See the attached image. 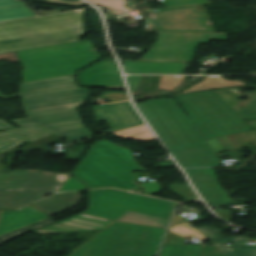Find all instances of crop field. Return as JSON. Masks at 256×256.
<instances>
[{"label":"crop field","instance_id":"obj_50","mask_svg":"<svg viewBox=\"0 0 256 256\" xmlns=\"http://www.w3.org/2000/svg\"><path fill=\"white\" fill-rule=\"evenodd\" d=\"M249 125H251L254 129H256V121L247 122Z\"/></svg>","mask_w":256,"mask_h":256},{"label":"crop field","instance_id":"obj_18","mask_svg":"<svg viewBox=\"0 0 256 256\" xmlns=\"http://www.w3.org/2000/svg\"><path fill=\"white\" fill-rule=\"evenodd\" d=\"M48 218L30 206L22 211H4L0 220V236Z\"/></svg>","mask_w":256,"mask_h":256},{"label":"crop field","instance_id":"obj_8","mask_svg":"<svg viewBox=\"0 0 256 256\" xmlns=\"http://www.w3.org/2000/svg\"><path fill=\"white\" fill-rule=\"evenodd\" d=\"M66 181L57 174L12 171L0 174V208H18L60 190Z\"/></svg>","mask_w":256,"mask_h":256},{"label":"crop field","instance_id":"obj_30","mask_svg":"<svg viewBox=\"0 0 256 256\" xmlns=\"http://www.w3.org/2000/svg\"><path fill=\"white\" fill-rule=\"evenodd\" d=\"M189 224L190 223L186 222V223L176 225L171 229V231L178 233L180 235H183L187 238H189L190 236H193V237L208 240L196 227L191 228Z\"/></svg>","mask_w":256,"mask_h":256},{"label":"crop field","instance_id":"obj_20","mask_svg":"<svg viewBox=\"0 0 256 256\" xmlns=\"http://www.w3.org/2000/svg\"><path fill=\"white\" fill-rule=\"evenodd\" d=\"M80 202V195L78 192L61 193L49 199L33 204L43 212L52 216L62 211L68 210L77 206Z\"/></svg>","mask_w":256,"mask_h":256},{"label":"crop field","instance_id":"obj_25","mask_svg":"<svg viewBox=\"0 0 256 256\" xmlns=\"http://www.w3.org/2000/svg\"><path fill=\"white\" fill-rule=\"evenodd\" d=\"M30 10L26 6L0 9V22L36 16Z\"/></svg>","mask_w":256,"mask_h":256},{"label":"crop field","instance_id":"obj_13","mask_svg":"<svg viewBox=\"0 0 256 256\" xmlns=\"http://www.w3.org/2000/svg\"><path fill=\"white\" fill-rule=\"evenodd\" d=\"M82 86H125L116 61L102 60L79 73Z\"/></svg>","mask_w":256,"mask_h":256},{"label":"crop field","instance_id":"obj_9","mask_svg":"<svg viewBox=\"0 0 256 256\" xmlns=\"http://www.w3.org/2000/svg\"><path fill=\"white\" fill-rule=\"evenodd\" d=\"M228 40L225 34L158 33L156 43L141 60L189 61L199 44Z\"/></svg>","mask_w":256,"mask_h":256},{"label":"crop field","instance_id":"obj_44","mask_svg":"<svg viewBox=\"0 0 256 256\" xmlns=\"http://www.w3.org/2000/svg\"><path fill=\"white\" fill-rule=\"evenodd\" d=\"M165 243L186 244V240L169 232Z\"/></svg>","mask_w":256,"mask_h":256},{"label":"crop field","instance_id":"obj_43","mask_svg":"<svg viewBox=\"0 0 256 256\" xmlns=\"http://www.w3.org/2000/svg\"><path fill=\"white\" fill-rule=\"evenodd\" d=\"M36 1L60 3V4L72 5V6H78V5H81V4H85L81 0H36Z\"/></svg>","mask_w":256,"mask_h":256},{"label":"crop field","instance_id":"obj_29","mask_svg":"<svg viewBox=\"0 0 256 256\" xmlns=\"http://www.w3.org/2000/svg\"><path fill=\"white\" fill-rule=\"evenodd\" d=\"M58 139H60V138L58 136L54 135V136L36 141V142H34L30 145H27L19 150L26 153V152H30V151L39 149L41 152L46 154V153L53 152V151L51 149H49L48 147H46L45 145H47L53 141H56Z\"/></svg>","mask_w":256,"mask_h":256},{"label":"crop field","instance_id":"obj_1","mask_svg":"<svg viewBox=\"0 0 256 256\" xmlns=\"http://www.w3.org/2000/svg\"><path fill=\"white\" fill-rule=\"evenodd\" d=\"M154 99L137 104L168 149L206 143L205 139L252 130L214 91Z\"/></svg>","mask_w":256,"mask_h":256},{"label":"crop field","instance_id":"obj_5","mask_svg":"<svg viewBox=\"0 0 256 256\" xmlns=\"http://www.w3.org/2000/svg\"><path fill=\"white\" fill-rule=\"evenodd\" d=\"M164 231L114 223L72 256H155Z\"/></svg>","mask_w":256,"mask_h":256},{"label":"crop field","instance_id":"obj_10","mask_svg":"<svg viewBox=\"0 0 256 256\" xmlns=\"http://www.w3.org/2000/svg\"><path fill=\"white\" fill-rule=\"evenodd\" d=\"M148 14L146 31L213 32L206 24V12L197 11L196 6L155 9Z\"/></svg>","mask_w":256,"mask_h":256},{"label":"crop field","instance_id":"obj_23","mask_svg":"<svg viewBox=\"0 0 256 256\" xmlns=\"http://www.w3.org/2000/svg\"><path fill=\"white\" fill-rule=\"evenodd\" d=\"M119 220L133 222V223H139V224H145V225H151V226H157V227H163V228L167 227V224L169 221L167 219L149 216V215L136 213V212H132V211H129L127 214H125Z\"/></svg>","mask_w":256,"mask_h":256},{"label":"crop field","instance_id":"obj_39","mask_svg":"<svg viewBox=\"0 0 256 256\" xmlns=\"http://www.w3.org/2000/svg\"><path fill=\"white\" fill-rule=\"evenodd\" d=\"M81 189H87L85 185H83L80 181H78L76 178L72 177L65 185L61 188L60 191H69V190H81Z\"/></svg>","mask_w":256,"mask_h":256},{"label":"crop field","instance_id":"obj_26","mask_svg":"<svg viewBox=\"0 0 256 256\" xmlns=\"http://www.w3.org/2000/svg\"><path fill=\"white\" fill-rule=\"evenodd\" d=\"M230 86H232L231 82H228V81L222 79L221 77H208L203 82L192 86L184 93L208 90V89L223 88V87H230Z\"/></svg>","mask_w":256,"mask_h":256},{"label":"crop field","instance_id":"obj_3","mask_svg":"<svg viewBox=\"0 0 256 256\" xmlns=\"http://www.w3.org/2000/svg\"><path fill=\"white\" fill-rule=\"evenodd\" d=\"M134 154L106 140L91 149L73 176L89 186V189L115 187L134 191L140 186L133 181V172L145 170L133 159Z\"/></svg>","mask_w":256,"mask_h":256},{"label":"crop field","instance_id":"obj_28","mask_svg":"<svg viewBox=\"0 0 256 256\" xmlns=\"http://www.w3.org/2000/svg\"><path fill=\"white\" fill-rule=\"evenodd\" d=\"M52 223H55V221L50 217V218L45 219L43 221H40L38 223L32 224L30 226L24 227L22 229H19L17 231L12 232V233L1 236L0 237V243H3L5 241H8V240L13 239L15 237H18V236H20L22 234H25V233L33 230V229H36V228H39V227H42V226H45V225H49V224H52Z\"/></svg>","mask_w":256,"mask_h":256},{"label":"crop field","instance_id":"obj_21","mask_svg":"<svg viewBox=\"0 0 256 256\" xmlns=\"http://www.w3.org/2000/svg\"><path fill=\"white\" fill-rule=\"evenodd\" d=\"M28 117L29 118L13 120V122L21 127H26L81 120L76 109L30 115Z\"/></svg>","mask_w":256,"mask_h":256},{"label":"crop field","instance_id":"obj_2","mask_svg":"<svg viewBox=\"0 0 256 256\" xmlns=\"http://www.w3.org/2000/svg\"><path fill=\"white\" fill-rule=\"evenodd\" d=\"M84 10L0 24V53L71 42L85 34Z\"/></svg>","mask_w":256,"mask_h":256},{"label":"crop field","instance_id":"obj_14","mask_svg":"<svg viewBox=\"0 0 256 256\" xmlns=\"http://www.w3.org/2000/svg\"><path fill=\"white\" fill-rule=\"evenodd\" d=\"M110 222L112 221L79 214L77 216L66 219L59 223L34 230L30 233H34L38 235H46V234H57V233H67V232L101 230L105 226H107Z\"/></svg>","mask_w":256,"mask_h":256},{"label":"crop field","instance_id":"obj_6","mask_svg":"<svg viewBox=\"0 0 256 256\" xmlns=\"http://www.w3.org/2000/svg\"><path fill=\"white\" fill-rule=\"evenodd\" d=\"M89 92L75 84L74 75L20 85L27 115L77 108Z\"/></svg>","mask_w":256,"mask_h":256},{"label":"crop field","instance_id":"obj_38","mask_svg":"<svg viewBox=\"0 0 256 256\" xmlns=\"http://www.w3.org/2000/svg\"><path fill=\"white\" fill-rule=\"evenodd\" d=\"M86 149V146L83 145L70 147L68 148L67 157L65 159L79 160L83 153L86 151Z\"/></svg>","mask_w":256,"mask_h":256},{"label":"crop field","instance_id":"obj_12","mask_svg":"<svg viewBox=\"0 0 256 256\" xmlns=\"http://www.w3.org/2000/svg\"><path fill=\"white\" fill-rule=\"evenodd\" d=\"M92 108L98 124L102 120H106L111 126L112 129L107 130V133L143 124V121L133 109L130 102L100 105Z\"/></svg>","mask_w":256,"mask_h":256},{"label":"crop field","instance_id":"obj_32","mask_svg":"<svg viewBox=\"0 0 256 256\" xmlns=\"http://www.w3.org/2000/svg\"><path fill=\"white\" fill-rule=\"evenodd\" d=\"M172 191L176 192L186 201L197 199L195 192L191 188L190 184L187 185H171L170 188Z\"/></svg>","mask_w":256,"mask_h":256},{"label":"crop field","instance_id":"obj_17","mask_svg":"<svg viewBox=\"0 0 256 256\" xmlns=\"http://www.w3.org/2000/svg\"><path fill=\"white\" fill-rule=\"evenodd\" d=\"M50 134L53 133L42 126L6 130L0 133V152L6 153L8 149L21 145L22 141L31 143Z\"/></svg>","mask_w":256,"mask_h":256},{"label":"crop field","instance_id":"obj_47","mask_svg":"<svg viewBox=\"0 0 256 256\" xmlns=\"http://www.w3.org/2000/svg\"><path fill=\"white\" fill-rule=\"evenodd\" d=\"M24 4H23V2H18V1H13V0H0V8L21 6Z\"/></svg>","mask_w":256,"mask_h":256},{"label":"crop field","instance_id":"obj_46","mask_svg":"<svg viewBox=\"0 0 256 256\" xmlns=\"http://www.w3.org/2000/svg\"><path fill=\"white\" fill-rule=\"evenodd\" d=\"M6 154H0V172H4V173H8L9 170H10V167H11V164L13 162V159H14V156L13 154H10L9 158H8V161H9V165L7 167V169H3L4 166L1 164L4 157H5Z\"/></svg>","mask_w":256,"mask_h":256},{"label":"crop field","instance_id":"obj_36","mask_svg":"<svg viewBox=\"0 0 256 256\" xmlns=\"http://www.w3.org/2000/svg\"><path fill=\"white\" fill-rule=\"evenodd\" d=\"M83 126L84 125L82 124V121H78V122L46 125L44 127H46L47 129H49L50 131H52L54 133H57V132H61V131H66V130H70V129H74V128L83 127Z\"/></svg>","mask_w":256,"mask_h":256},{"label":"crop field","instance_id":"obj_31","mask_svg":"<svg viewBox=\"0 0 256 256\" xmlns=\"http://www.w3.org/2000/svg\"><path fill=\"white\" fill-rule=\"evenodd\" d=\"M61 138H66L69 143L90 138V132L86 129H78L69 132L56 134Z\"/></svg>","mask_w":256,"mask_h":256},{"label":"crop field","instance_id":"obj_49","mask_svg":"<svg viewBox=\"0 0 256 256\" xmlns=\"http://www.w3.org/2000/svg\"><path fill=\"white\" fill-rule=\"evenodd\" d=\"M0 97L4 98V99H8V98H16V97H21L20 94H17V95H13V96H8V97H5L3 94L0 93Z\"/></svg>","mask_w":256,"mask_h":256},{"label":"crop field","instance_id":"obj_27","mask_svg":"<svg viewBox=\"0 0 256 256\" xmlns=\"http://www.w3.org/2000/svg\"><path fill=\"white\" fill-rule=\"evenodd\" d=\"M115 135L119 137L129 136L130 138L137 140H156L146 125L116 132Z\"/></svg>","mask_w":256,"mask_h":256},{"label":"crop field","instance_id":"obj_51","mask_svg":"<svg viewBox=\"0 0 256 256\" xmlns=\"http://www.w3.org/2000/svg\"><path fill=\"white\" fill-rule=\"evenodd\" d=\"M2 212H3V211H0V217H1Z\"/></svg>","mask_w":256,"mask_h":256},{"label":"crop field","instance_id":"obj_37","mask_svg":"<svg viewBox=\"0 0 256 256\" xmlns=\"http://www.w3.org/2000/svg\"><path fill=\"white\" fill-rule=\"evenodd\" d=\"M210 241L225 237L221 233V229L212 227V226H204V227H197Z\"/></svg>","mask_w":256,"mask_h":256},{"label":"crop field","instance_id":"obj_40","mask_svg":"<svg viewBox=\"0 0 256 256\" xmlns=\"http://www.w3.org/2000/svg\"><path fill=\"white\" fill-rule=\"evenodd\" d=\"M126 78L130 88V92H137L138 87L142 81V76H127Z\"/></svg>","mask_w":256,"mask_h":256},{"label":"crop field","instance_id":"obj_16","mask_svg":"<svg viewBox=\"0 0 256 256\" xmlns=\"http://www.w3.org/2000/svg\"><path fill=\"white\" fill-rule=\"evenodd\" d=\"M186 62L124 61L125 74H183Z\"/></svg>","mask_w":256,"mask_h":256},{"label":"crop field","instance_id":"obj_42","mask_svg":"<svg viewBox=\"0 0 256 256\" xmlns=\"http://www.w3.org/2000/svg\"><path fill=\"white\" fill-rule=\"evenodd\" d=\"M143 188L145 189L147 195L154 194L159 192L162 188L158 185L157 182L153 183H145L142 184Z\"/></svg>","mask_w":256,"mask_h":256},{"label":"crop field","instance_id":"obj_33","mask_svg":"<svg viewBox=\"0 0 256 256\" xmlns=\"http://www.w3.org/2000/svg\"><path fill=\"white\" fill-rule=\"evenodd\" d=\"M88 1L113 11H119V10L125 9V0H88Z\"/></svg>","mask_w":256,"mask_h":256},{"label":"crop field","instance_id":"obj_48","mask_svg":"<svg viewBox=\"0 0 256 256\" xmlns=\"http://www.w3.org/2000/svg\"><path fill=\"white\" fill-rule=\"evenodd\" d=\"M14 127H12L10 124H8L6 121H4L3 119H0V130H4V129H12Z\"/></svg>","mask_w":256,"mask_h":256},{"label":"crop field","instance_id":"obj_19","mask_svg":"<svg viewBox=\"0 0 256 256\" xmlns=\"http://www.w3.org/2000/svg\"><path fill=\"white\" fill-rule=\"evenodd\" d=\"M239 87L216 91L230 106H232L246 121L256 120V90L237 95L232 90ZM246 96L249 100L241 102L238 98Z\"/></svg>","mask_w":256,"mask_h":256},{"label":"crop field","instance_id":"obj_15","mask_svg":"<svg viewBox=\"0 0 256 256\" xmlns=\"http://www.w3.org/2000/svg\"><path fill=\"white\" fill-rule=\"evenodd\" d=\"M170 151L182 167L218 166L220 163L208 144L172 149Z\"/></svg>","mask_w":256,"mask_h":256},{"label":"crop field","instance_id":"obj_35","mask_svg":"<svg viewBox=\"0 0 256 256\" xmlns=\"http://www.w3.org/2000/svg\"><path fill=\"white\" fill-rule=\"evenodd\" d=\"M183 80V76H161L159 88L173 90Z\"/></svg>","mask_w":256,"mask_h":256},{"label":"crop field","instance_id":"obj_41","mask_svg":"<svg viewBox=\"0 0 256 256\" xmlns=\"http://www.w3.org/2000/svg\"><path fill=\"white\" fill-rule=\"evenodd\" d=\"M203 256H225L215 245L204 246Z\"/></svg>","mask_w":256,"mask_h":256},{"label":"crop field","instance_id":"obj_24","mask_svg":"<svg viewBox=\"0 0 256 256\" xmlns=\"http://www.w3.org/2000/svg\"><path fill=\"white\" fill-rule=\"evenodd\" d=\"M202 245H165L161 256H201Z\"/></svg>","mask_w":256,"mask_h":256},{"label":"crop field","instance_id":"obj_7","mask_svg":"<svg viewBox=\"0 0 256 256\" xmlns=\"http://www.w3.org/2000/svg\"><path fill=\"white\" fill-rule=\"evenodd\" d=\"M176 205L178 203L105 189L90 191V207L85 213L118 220L132 210L169 219Z\"/></svg>","mask_w":256,"mask_h":256},{"label":"crop field","instance_id":"obj_11","mask_svg":"<svg viewBox=\"0 0 256 256\" xmlns=\"http://www.w3.org/2000/svg\"><path fill=\"white\" fill-rule=\"evenodd\" d=\"M185 170L210 207L230 206L232 200L218 182L213 168Z\"/></svg>","mask_w":256,"mask_h":256},{"label":"crop field","instance_id":"obj_4","mask_svg":"<svg viewBox=\"0 0 256 256\" xmlns=\"http://www.w3.org/2000/svg\"><path fill=\"white\" fill-rule=\"evenodd\" d=\"M17 53L24 68L22 82L72 75L102 57L95 50L91 40L22 50Z\"/></svg>","mask_w":256,"mask_h":256},{"label":"crop field","instance_id":"obj_45","mask_svg":"<svg viewBox=\"0 0 256 256\" xmlns=\"http://www.w3.org/2000/svg\"><path fill=\"white\" fill-rule=\"evenodd\" d=\"M217 215L223 219H225L226 221L230 222L232 221L233 218V213L231 210H214Z\"/></svg>","mask_w":256,"mask_h":256},{"label":"crop field","instance_id":"obj_22","mask_svg":"<svg viewBox=\"0 0 256 256\" xmlns=\"http://www.w3.org/2000/svg\"><path fill=\"white\" fill-rule=\"evenodd\" d=\"M246 236H233L213 242L226 256H256V246H247ZM232 242V246L226 243Z\"/></svg>","mask_w":256,"mask_h":256},{"label":"crop field","instance_id":"obj_34","mask_svg":"<svg viewBox=\"0 0 256 256\" xmlns=\"http://www.w3.org/2000/svg\"><path fill=\"white\" fill-rule=\"evenodd\" d=\"M165 7L189 6L210 3L209 0H160Z\"/></svg>","mask_w":256,"mask_h":256}]
</instances>
